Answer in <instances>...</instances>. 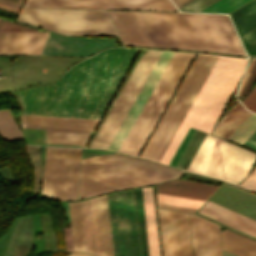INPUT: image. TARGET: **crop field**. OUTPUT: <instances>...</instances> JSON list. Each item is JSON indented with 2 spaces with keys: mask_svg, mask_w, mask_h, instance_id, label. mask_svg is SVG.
I'll use <instances>...</instances> for the list:
<instances>
[{
  "mask_svg": "<svg viewBox=\"0 0 256 256\" xmlns=\"http://www.w3.org/2000/svg\"><path fill=\"white\" fill-rule=\"evenodd\" d=\"M134 13L150 46L245 55L226 15Z\"/></svg>",
  "mask_w": 256,
  "mask_h": 256,
  "instance_id": "8a807250",
  "label": "crop field"
},
{
  "mask_svg": "<svg viewBox=\"0 0 256 256\" xmlns=\"http://www.w3.org/2000/svg\"><path fill=\"white\" fill-rule=\"evenodd\" d=\"M137 50L112 48L72 66L52 86L29 88L17 95L111 99Z\"/></svg>",
  "mask_w": 256,
  "mask_h": 256,
  "instance_id": "ac0d7876",
  "label": "crop field"
},
{
  "mask_svg": "<svg viewBox=\"0 0 256 256\" xmlns=\"http://www.w3.org/2000/svg\"><path fill=\"white\" fill-rule=\"evenodd\" d=\"M181 171L116 153L83 158L78 199L120 188L156 184Z\"/></svg>",
  "mask_w": 256,
  "mask_h": 256,
  "instance_id": "34b2d1b8",
  "label": "crop field"
},
{
  "mask_svg": "<svg viewBox=\"0 0 256 256\" xmlns=\"http://www.w3.org/2000/svg\"><path fill=\"white\" fill-rule=\"evenodd\" d=\"M245 59L219 56L188 113L162 156L169 164L189 126L209 132L243 73Z\"/></svg>",
  "mask_w": 256,
  "mask_h": 256,
  "instance_id": "412701ff",
  "label": "crop field"
},
{
  "mask_svg": "<svg viewBox=\"0 0 256 256\" xmlns=\"http://www.w3.org/2000/svg\"><path fill=\"white\" fill-rule=\"evenodd\" d=\"M195 54L174 52L119 151L138 156Z\"/></svg>",
  "mask_w": 256,
  "mask_h": 256,
  "instance_id": "f4fd0767",
  "label": "crop field"
},
{
  "mask_svg": "<svg viewBox=\"0 0 256 256\" xmlns=\"http://www.w3.org/2000/svg\"><path fill=\"white\" fill-rule=\"evenodd\" d=\"M255 159V153L206 134L187 170L237 184Z\"/></svg>",
  "mask_w": 256,
  "mask_h": 256,
  "instance_id": "dd49c442",
  "label": "crop field"
},
{
  "mask_svg": "<svg viewBox=\"0 0 256 256\" xmlns=\"http://www.w3.org/2000/svg\"><path fill=\"white\" fill-rule=\"evenodd\" d=\"M17 21L67 35L118 36L106 11L23 8Z\"/></svg>",
  "mask_w": 256,
  "mask_h": 256,
  "instance_id": "e52e79f7",
  "label": "crop field"
},
{
  "mask_svg": "<svg viewBox=\"0 0 256 256\" xmlns=\"http://www.w3.org/2000/svg\"><path fill=\"white\" fill-rule=\"evenodd\" d=\"M81 148L46 147L41 195L76 199Z\"/></svg>",
  "mask_w": 256,
  "mask_h": 256,
  "instance_id": "d8731c3e",
  "label": "crop field"
},
{
  "mask_svg": "<svg viewBox=\"0 0 256 256\" xmlns=\"http://www.w3.org/2000/svg\"><path fill=\"white\" fill-rule=\"evenodd\" d=\"M107 199L114 256H140L133 190Z\"/></svg>",
  "mask_w": 256,
  "mask_h": 256,
  "instance_id": "5a996713",
  "label": "crop field"
},
{
  "mask_svg": "<svg viewBox=\"0 0 256 256\" xmlns=\"http://www.w3.org/2000/svg\"><path fill=\"white\" fill-rule=\"evenodd\" d=\"M155 52L161 53V51L146 50L144 55L141 54L139 60L137 61L134 69L132 70L130 76L128 77V79H127L125 85L123 86L121 92L119 93L116 101L114 102L112 108L110 109L108 115L106 116L103 124L101 125L99 131L97 132L90 147L107 149V147H102V146H103L105 140L107 139L110 131L112 130L114 124L116 123L119 115L121 114L123 108L125 107L128 99L130 98L132 92L134 91L136 85L138 84L141 76L143 75L145 69L147 68V66ZM159 55L160 54L155 53L153 59L151 60L148 68L146 69L144 75L142 76V78H141L139 84L137 85L135 91L133 92L130 100L128 101L126 107L124 108L122 114L120 115L117 123L115 124L113 130L111 131L104 146H108L109 143L111 142L114 134L116 133L118 127L120 126L122 120L124 119L127 111L129 110L131 104L133 103L135 97L137 96L139 90L141 89L144 81L146 80L148 74L150 73V71H151L152 67L154 66Z\"/></svg>",
  "mask_w": 256,
  "mask_h": 256,
  "instance_id": "3316defc",
  "label": "crop field"
},
{
  "mask_svg": "<svg viewBox=\"0 0 256 256\" xmlns=\"http://www.w3.org/2000/svg\"><path fill=\"white\" fill-rule=\"evenodd\" d=\"M18 97L22 102L24 115L46 116V117L99 119L100 115H91V114H102L103 110L105 109L106 105L109 102V100H100V99L57 98V97H49L48 99V97H32V96H18ZM39 109L40 111H49V112H70V113H91V114L38 112Z\"/></svg>",
  "mask_w": 256,
  "mask_h": 256,
  "instance_id": "28ad6ade",
  "label": "crop field"
},
{
  "mask_svg": "<svg viewBox=\"0 0 256 256\" xmlns=\"http://www.w3.org/2000/svg\"><path fill=\"white\" fill-rule=\"evenodd\" d=\"M163 256H192L187 214L160 210Z\"/></svg>",
  "mask_w": 256,
  "mask_h": 256,
  "instance_id": "d1516ede",
  "label": "crop field"
},
{
  "mask_svg": "<svg viewBox=\"0 0 256 256\" xmlns=\"http://www.w3.org/2000/svg\"><path fill=\"white\" fill-rule=\"evenodd\" d=\"M24 6L176 11L169 0H26Z\"/></svg>",
  "mask_w": 256,
  "mask_h": 256,
  "instance_id": "22f410ed",
  "label": "crop field"
},
{
  "mask_svg": "<svg viewBox=\"0 0 256 256\" xmlns=\"http://www.w3.org/2000/svg\"><path fill=\"white\" fill-rule=\"evenodd\" d=\"M0 32H45L1 20ZM49 33H0V54H40Z\"/></svg>",
  "mask_w": 256,
  "mask_h": 256,
  "instance_id": "cbeb9de0",
  "label": "crop field"
},
{
  "mask_svg": "<svg viewBox=\"0 0 256 256\" xmlns=\"http://www.w3.org/2000/svg\"><path fill=\"white\" fill-rule=\"evenodd\" d=\"M116 45L114 38L63 37L50 33L41 54L88 56Z\"/></svg>",
  "mask_w": 256,
  "mask_h": 256,
  "instance_id": "5142ce71",
  "label": "crop field"
},
{
  "mask_svg": "<svg viewBox=\"0 0 256 256\" xmlns=\"http://www.w3.org/2000/svg\"><path fill=\"white\" fill-rule=\"evenodd\" d=\"M217 58L218 56L208 55L193 84L191 85L189 91L187 92L169 126L167 127L152 156L150 157V160L159 162L161 156L163 155L165 149L167 148L169 142L171 141L173 135L175 134L177 128L179 127L181 121L187 113L190 105L192 104L194 98L196 97L198 91L200 90Z\"/></svg>",
  "mask_w": 256,
  "mask_h": 256,
  "instance_id": "d9b57169",
  "label": "crop field"
},
{
  "mask_svg": "<svg viewBox=\"0 0 256 256\" xmlns=\"http://www.w3.org/2000/svg\"><path fill=\"white\" fill-rule=\"evenodd\" d=\"M172 54L173 52H162L159 60L157 61L155 67L153 68L151 74L149 75L147 81L145 82L143 88L141 89L139 95L137 96L134 104L132 105L108 149L118 151L120 145L122 144L124 138L126 137L128 131L130 130L132 124L134 123L136 117L138 116L140 110L142 109L145 101L147 100Z\"/></svg>",
  "mask_w": 256,
  "mask_h": 256,
  "instance_id": "733c2abd",
  "label": "crop field"
},
{
  "mask_svg": "<svg viewBox=\"0 0 256 256\" xmlns=\"http://www.w3.org/2000/svg\"><path fill=\"white\" fill-rule=\"evenodd\" d=\"M194 256H222L219 225L189 214Z\"/></svg>",
  "mask_w": 256,
  "mask_h": 256,
  "instance_id": "4a817a6b",
  "label": "crop field"
},
{
  "mask_svg": "<svg viewBox=\"0 0 256 256\" xmlns=\"http://www.w3.org/2000/svg\"><path fill=\"white\" fill-rule=\"evenodd\" d=\"M206 57L207 55L197 54L190 69L188 70L186 76L184 77L181 85L179 86L177 92L175 93L172 101L170 102L168 108L166 109L163 117L161 118L154 133L152 134L150 140L148 141L145 149L143 150L141 157L149 159L151 153L153 152L155 146L157 145L159 139L161 138L163 132L165 131L167 125L169 124L171 118L173 117L175 111L177 110L179 104L181 103L183 97L185 96L187 90L189 89L191 83L193 82Z\"/></svg>",
  "mask_w": 256,
  "mask_h": 256,
  "instance_id": "bc2a9ffb",
  "label": "crop field"
},
{
  "mask_svg": "<svg viewBox=\"0 0 256 256\" xmlns=\"http://www.w3.org/2000/svg\"><path fill=\"white\" fill-rule=\"evenodd\" d=\"M216 185L173 180L156 186L157 193L206 200Z\"/></svg>",
  "mask_w": 256,
  "mask_h": 256,
  "instance_id": "214f88e0",
  "label": "crop field"
},
{
  "mask_svg": "<svg viewBox=\"0 0 256 256\" xmlns=\"http://www.w3.org/2000/svg\"><path fill=\"white\" fill-rule=\"evenodd\" d=\"M109 13L124 44L149 46L133 12Z\"/></svg>",
  "mask_w": 256,
  "mask_h": 256,
  "instance_id": "92a150f3",
  "label": "crop field"
},
{
  "mask_svg": "<svg viewBox=\"0 0 256 256\" xmlns=\"http://www.w3.org/2000/svg\"><path fill=\"white\" fill-rule=\"evenodd\" d=\"M149 256H160L152 187L142 188Z\"/></svg>",
  "mask_w": 256,
  "mask_h": 256,
  "instance_id": "dafd665d",
  "label": "crop field"
},
{
  "mask_svg": "<svg viewBox=\"0 0 256 256\" xmlns=\"http://www.w3.org/2000/svg\"><path fill=\"white\" fill-rule=\"evenodd\" d=\"M96 210L102 256H112L110 227L106 195L96 197Z\"/></svg>",
  "mask_w": 256,
  "mask_h": 256,
  "instance_id": "00972430",
  "label": "crop field"
},
{
  "mask_svg": "<svg viewBox=\"0 0 256 256\" xmlns=\"http://www.w3.org/2000/svg\"><path fill=\"white\" fill-rule=\"evenodd\" d=\"M223 249L239 256H256V242L228 230L221 232Z\"/></svg>",
  "mask_w": 256,
  "mask_h": 256,
  "instance_id": "a9b5d70f",
  "label": "crop field"
},
{
  "mask_svg": "<svg viewBox=\"0 0 256 256\" xmlns=\"http://www.w3.org/2000/svg\"><path fill=\"white\" fill-rule=\"evenodd\" d=\"M230 17L239 35L256 27V0L231 13Z\"/></svg>",
  "mask_w": 256,
  "mask_h": 256,
  "instance_id": "4177f3b9",
  "label": "crop field"
},
{
  "mask_svg": "<svg viewBox=\"0 0 256 256\" xmlns=\"http://www.w3.org/2000/svg\"><path fill=\"white\" fill-rule=\"evenodd\" d=\"M89 132L48 130L47 143L83 145Z\"/></svg>",
  "mask_w": 256,
  "mask_h": 256,
  "instance_id": "730fd06b",
  "label": "crop field"
},
{
  "mask_svg": "<svg viewBox=\"0 0 256 256\" xmlns=\"http://www.w3.org/2000/svg\"><path fill=\"white\" fill-rule=\"evenodd\" d=\"M0 137L7 141L23 138L20 129L13 120L10 109L0 111Z\"/></svg>",
  "mask_w": 256,
  "mask_h": 256,
  "instance_id": "eef30255",
  "label": "crop field"
},
{
  "mask_svg": "<svg viewBox=\"0 0 256 256\" xmlns=\"http://www.w3.org/2000/svg\"><path fill=\"white\" fill-rule=\"evenodd\" d=\"M86 251L93 253V241L88 200L80 202Z\"/></svg>",
  "mask_w": 256,
  "mask_h": 256,
  "instance_id": "ae1a2a85",
  "label": "crop field"
},
{
  "mask_svg": "<svg viewBox=\"0 0 256 256\" xmlns=\"http://www.w3.org/2000/svg\"><path fill=\"white\" fill-rule=\"evenodd\" d=\"M256 130V116L251 114L228 138L243 143Z\"/></svg>",
  "mask_w": 256,
  "mask_h": 256,
  "instance_id": "d3111659",
  "label": "crop field"
},
{
  "mask_svg": "<svg viewBox=\"0 0 256 256\" xmlns=\"http://www.w3.org/2000/svg\"><path fill=\"white\" fill-rule=\"evenodd\" d=\"M157 200L161 203L185 206L198 209L201 204L204 202L202 200H195V199H188V198H181V197H174V196H167V195H160L157 194Z\"/></svg>",
  "mask_w": 256,
  "mask_h": 256,
  "instance_id": "750c4746",
  "label": "crop field"
},
{
  "mask_svg": "<svg viewBox=\"0 0 256 256\" xmlns=\"http://www.w3.org/2000/svg\"><path fill=\"white\" fill-rule=\"evenodd\" d=\"M248 0H219L201 12L228 13Z\"/></svg>",
  "mask_w": 256,
  "mask_h": 256,
  "instance_id": "bd1437ed",
  "label": "crop field"
},
{
  "mask_svg": "<svg viewBox=\"0 0 256 256\" xmlns=\"http://www.w3.org/2000/svg\"><path fill=\"white\" fill-rule=\"evenodd\" d=\"M244 108L238 102L216 125L213 135L218 136ZM235 120V119H234ZM233 120V121H234ZM232 121V122H233Z\"/></svg>",
  "mask_w": 256,
  "mask_h": 256,
  "instance_id": "1d83c4d3",
  "label": "crop field"
},
{
  "mask_svg": "<svg viewBox=\"0 0 256 256\" xmlns=\"http://www.w3.org/2000/svg\"><path fill=\"white\" fill-rule=\"evenodd\" d=\"M249 55H256V28L240 36Z\"/></svg>",
  "mask_w": 256,
  "mask_h": 256,
  "instance_id": "120bbe31",
  "label": "crop field"
},
{
  "mask_svg": "<svg viewBox=\"0 0 256 256\" xmlns=\"http://www.w3.org/2000/svg\"><path fill=\"white\" fill-rule=\"evenodd\" d=\"M218 0H193L183 7L179 8L181 11L199 12L209 5L213 4Z\"/></svg>",
  "mask_w": 256,
  "mask_h": 256,
  "instance_id": "d32e631a",
  "label": "crop field"
},
{
  "mask_svg": "<svg viewBox=\"0 0 256 256\" xmlns=\"http://www.w3.org/2000/svg\"><path fill=\"white\" fill-rule=\"evenodd\" d=\"M250 114L244 109L219 136L227 138Z\"/></svg>",
  "mask_w": 256,
  "mask_h": 256,
  "instance_id": "5866460e",
  "label": "crop field"
},
{
  "mask_svg": "<svg viewBox=\"0 0 256 256\" xmlns=\"http://www.w3.org/2000/svg\"><path fill=\"white\" fill-rule=\"evenodd\" d=\"M96 254L101 256L94 198L90 199Z\"/></svg>",
  "mask_w": 256,
  "mask_h": 256,
  "instance_id": "028f5c9d",
  "label": "crop field"
},
{
  "mask_svg": "<svg viewBox=\"0 0 256 256\" xmlns=\"http://www.w3.org/2000/svg\"><path fill=\"white\" fill-rule=\"evenodd\" d=\"M193 132H194V129H192L191 127H189V129H188L186 135L184 136V138H183V140H182L180 146L178 147V149H177L175 155L173 156V158H172V160H171V162H170V165L175 166L177 160L179 159L181 153L183 152V150H184L186 144L188 143L190 137L192 136Z\"/></svg>",
  "mask_w": 256,
  "mask_h": 256,
  "instance_id": "e1f06a70",
  "label": "crop field"
},
{
  "mask_svg": "<svg viewBox=\"0 0 256 256\" xmlns=\"http://www.w3.org/2000/svg\"><path fill=\"white\" fill-rule=\"evenodd\" d=\"M242 103L250 110L256 112V86L252 91L245 97Z\"/></svg>",
  "mask_w": 256,
  "mask_h": 256,
  "instance_id": "0bd39190",
  "label": "crop field"
},
{
  "mask_svg": "<svg viewBox=\"0 0 256 256\" xmlns=\"http://www.w3.org/2000/svg\"><path fill=\"white\" fill-rule=\"evenodd\" d=\"M239 185L256 191V168Z\"/></svg>",
  "mask_w": 256,
  "mask_h": 256,
  "instance_id": "b80d0937",
  "label": "crop field"
},
{
  "mask_svg": "<svg viewBox=\"0 0 256 256\" xmlns=\"http://www.w3.org/2000/svg\"><path fill=\"white\" fill-rule=\"evenodd\" d=\"M204 136H205V133L201 132V134H200L199 138L197 139L195 145L193 146V148H192L190 154L188 155L186 161L184 162V164H183V166H182V169H185V170H186L188 164L190 163L192 157L194 156V154H195L197 148L199 147L201 141L203 140Z\"/></svg>",
  "mask_w": 256,
  "mask_h": 256,
  "instance_id": "c035e120",
  "label": "crop field"
},
{
  "mask_svg": "<svg viewBox=\"0 0 256 256\" xmlns=\"http://www.w3.org/2000/svg\"><path fill=\"white\" fill-rule=\"evenodd\" d=\"M244 144L256 150V131L244 142Z\"/></svg>",
  "mask_w": 256,
  "mask_h": 256,
  "instance_id": "c21b1889",
  "label": "crop field"
},
{
  "mask_svg": "<svg viewBox=\"0 0 256 256\" xmlns=\"http://www.w3.org/2000/svg\"><path fill=\"white\" fill-rule=\"evenodd\" d=\"M66 234L67 250H73L70 228H64Z\"/></svg>",
  "mask_w": 256,
  "mask_h": 256,
  "instance_id": "03da06ac",
  "label": "crop field"
},
{
  "mask_svg": "<svg viewBox=\"0 0 256 256\" xmlns=\"http://www.w3.org/2000/svg\"><path fill=\"white\" fill-rule=\"evenodd\" d=\"M159 207L163 208H169V209H176V210H183V211H189V212H195V209H189V208H183V207H178V206H172V205H166V204H160L158 203Z\"/></svg>",
  "mask_w": 256,
  "mask_h": 256,
  "instance_id": "b54c1fbb",
  "label": "crop field"
},
{
  "mask_svg": "<svg viewBox=\"0 0 256 256\" xmlns=\"http://www.w3.org/2000/svg\"><path fill=\"white\" fill-rule=\"evenodd\" d=\"M0 3L6 4V5H9V6H13V7H17V8H19V6H20V4L12 3V2H9V1H5V0H0Z\"/></svg>",
  "mask_w": 256,
  "mask_h": 256,
  "instance_id": "5d738f31",
  "label": "crop field"
},
{
  "mask_svg": "<svg viewBox=\"0 0 256 256\" xmlns=\"http://www.w3.org/2000/svg\"><path fill=\"white\" fill-rule=\"evenodd\" d=\"M70 256H93L83 252H73Z\"/></svg>",
  "mask_w": 256,
  "mask_h": 256,
  "instance_id": "d23c7cc5",
  "label": "crop field"
},
{
  "mask_svg": "<svg viewBox=\"0 0 256 256\" xmlns=\"http://www.w3.org/2000/svg\"><path fill=\"white\" fill-rule=\"evenodd\" d=\"M175 4H176V6L178 7V6H180V5H182L183 3H185V2H187V1H189V0H172ZM184 5V4H183ZM179 8V7H178Z\"/></svg>",
  "mask_w": 256,
  "mask_h": 256,
  "instance_id": "425ffa30",
  "label": "crop field"
},
{
  "mask_svg": "<svg viewBox=\"0 0 256 256\" xmlns=\"http://www.w3.org/2000/svg\"><path fill=\"white\" fill-rule=\"evenodd\" d=\"M40 149H41L42 161H43V164H44V152H45V147L40 146Z\"/></svg>",
  "mask_w": 256,
  "mask_h": 256,
  "instance_id": "25e5ab78",
  "label": "crop field"
},
{
  "mask_svg": "<svg viewBox=\"0 0 256 256\" xmlns=\"http://www.w3.org/2000/svg\"><path fill=\"white\" fill-rule=\"evenodd\" d=\"M223 254H224V256H236V255L231 254V253H229V252H226V251H224V250H223Z\"/></svg>",
  "mask_w": 256,
  "mask_h": 256,
  "instance_id": "73cf0c24",
  "label": "crop field"
}]
</instances>
